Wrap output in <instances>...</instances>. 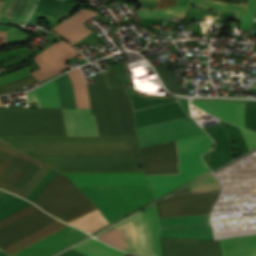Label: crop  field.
<instances>
[{
	"label": "crop field",
	"mask_w": 256,
	"mask_h": 256,
	"mask_svg": "<svg viewBox=\"0 0 256 256\" xmlns=\"http://www.w3.org/2000/svg\"><path fill=\"white\" fill-rule=\"evenodd\" d=\"M29 155L137 154V136L0 137Z\"/></svg>",
	"instance_id": "1"
},
{
	"label": "crop field",
	"mask_w": 256,
	"mask_h": 256,
	"mask_svg": "<svg viewBox=\"0 0 256 256\" xmlns=\"http://www.w3.org/2000/svg\"><path fill=\"white\" fill-rule=\"evenodd\" d=\"M213 143L208 135L176 141L179 174L146 175L154 199L208 173L210 170L201 154L212 148Z\"/></svg>",
	"instance_id": "2"
},
{
	"label": "crop field",
	"mask_w": 256,
	"mask_h": 256,
	"mask_svg": "<svg viewBox=\"0 0 256 256\" xmlns=\"http://www.w3.org/2000/svg\"><path fill=\"white\" fill-rule=\"evenodd\" d=\"M66 135L61 109L0 108V136Z\"/></svg>",
	"instance_id": "3"
},
{
	"label": "crop field",
	"mask_w": 256,
	"mask_h": 256,
	"mask_svg": "<svg viewBox=\"0 0 256 256\" xmlns=\"http://www.w3.org/2000/svg\"><path fill=\"white\" fill-rule=\"evenodd\" d=\"M100 209L109 223L152 201L148 185L77 186Z\"/></svg>",
	"instance_id": "4"
},
{
	"label": "crop field",
	"mask_w": 256,
	"mask_h": 256,
	"mask_svg": "<svg viewBox=\"0 0 256 256\" xmlns=\"http://www.w3.org/2000/svg\"><path fill=\"white\" fill-rule=\"evenodd\" d=\"M33 203L65 222L97 209L80 189L59 172Z\"/></svg>",
	"instance_id": "5"
},
{
	"label": "crop field",
	"mask_w": 256,
	"mask_h": 256,
	"mask_svg": "<svg viewBox=\"0 0 256 256\" xmlns=\"http://www.w3.org/2000/svg\"><path fill=\"white\" fill-rule=\"evenodd\" d=\"M20 153L0 141V176ZM49 169L50 167L21 153L0 177V188L25 198Z\"/></svg>",
	"instance_id": "6"
},
{
	"label": "crop field",
	"mask_w": 256,
	"mask_h": 256,
	"mask_svg": "<svg viewBox=\"0 0 256 256\" xmlns=\"http://www.w3.org/2000/svg\"><path fill=\"white\" fill-rule=\"evenodd\" d=\"M62 173L142 172L138 155L32 156Z\"/></svg>",
	"instance_id": "7"
},
{
	"label": "crop field",
	"mask_w": 256,
	"mask_h": 256,
	"mask_svg": "<svg viewBox=\"0 0 256 256\" xmlns=\"http://www.w3.org/2000/svg\"><path fill=\"white\" fill-rule=\"evenodd\" d=\"M113 227L124 233L127 252L141 256H161L155 204Z\"/></svg>",
	"instance_id": "8"
},
{
	"label": "crop field",
	"mask_w": 256,
	"mask_h": 256,
	"mask_svg": "<svg viewBox=\"0 0 256 256\" xmlns=\"http://www.w3.org/2000/svg\"><path fill=\"white\" fill-rule=\"evenodd\" d=\"M67 226L69 225L57 220L3 251L12 255ZM87 236L89 235L69 226L12 256H50Z\"/></svg>",
	"instance_id": "9"
},
{
	"label": "crop field",
	"mask_w": 256,
	"mask_h": 256,
	"mask_svg": "<svg viewBox=\"0 0 256 256\" xmlns=\"http://www.w3.org/2000/svg\"><path fill=\"white\" fill-rule=\"evenodd\" d=\"M89 84V95L99 135H122L113 88L104 77Z\"/></svg>",
	"instance_id": "10"
},
{
	"label": "crop field",
	"mask_w": 256,
	"mask_h": 256,
	"mask_svg": "<svg viewBox=\"0 0 256 256\" xmlns=\"http://www.w3.org/2000/svg\"><path fill=\"white\" fill-rule=\"evenodd\" d=\"M55 220L32 204L23 208L0 221V249H5Z\"/></svg>",
	"instance_id": "11"
},
{
	"label": "crop field",
	"mask_w": 256,
	"mask_h": 256,
	"mask_svg": "<svg viewBox=\"0 0 256 256\" xmlns=\"http://www.w3.org/2000/svg\"><path fill=\"white\" fill-rule=\"evenodd\" d=\"M140 147L206 134L188 117L137 129Z\"/></svg>",
	"instance_id": "12"
},
{
	"label": "crop field",
	"mask_w": 256,
	"mask_h": 256,
	"mask_svg": "<svg viewBox=\"0 0 256 256\" xmlns=\"http://www.w3.org/2000/svg\"><path fill=\"white\" fill-rule=\"evenodd\" d=\"M160 237L214 240L208 215L159 217Z\"/></svg>",
	"instance_id": "13"
},
{
	"label": "crop field",
	"mask_w": 256,
	"mask_h": 256,
	"mask_svg": "<svg viewBox=\"0 0 256 256\" xmlns=\"http://www.w3.org/2000/svg\"><path fill=\"white\" fill-rule=\"evenodd\" d=\"M219 194H189L156 203L159 216L209 214Z\"/></svg>",
	"instance_id": "14"
},
{
	"label": "crop field",
	"mask_w": 256,
	"mask_h": 256,
	"mask_svg": "<svg viewBox=\"0 0 256 256\" xmlns=\"http://www.w3.org/2000/svg\"><path fill=\"white\" fill-rule=\"evenodd\" d=\"M144 174L178 173L175 141L140 148Z\"/></svg>",
	"instance_id": "15"
},
{
	"label": "crop field",
	"mask_w": 256,
	"mask_h": 256,
	"mask_svg": "<svg viewBox=\"0 0 256 256\" xmlns=\"http://www.w3.org/2000/svg\"><path fill=\"white\" fill-rule=\"evenodd\" d=\"M75 54L77 51L69 44L63 41L57 42L34 57L41 69L31 74L39 81L59 74L69 68L65 65V61Z\"/></svg>",
	"instance_id": "16"
},
{
	"label": "crop field",
	"mask_w": 256,
	"mask_h": 256,
	"mask_svg": "<svg viewBox=\"0 0 256 256\" xmlns=\"http://www.w3.org/2000/svg\"><path fill=\"white\" fill-rule=\"evenodd\" d=\"M165 256H221L218 242L162 238Z\"/></svg>",
	"instance_id": "17"
},
{
	"label": "crop field",
	"mask_w": 256,
	"mask_h": 256,
	"mask_svg": "<svg viewBox=\"0 0 256 256\" xmlns=\"http://www.w3.org/2000/svg\"><path fill=\"white\" fill-rule=\"evenodd\" d=\"M76 185L147 184L143 173L64 174Z\"/></svg>",
	"instance_id": "18"
},
{
	"label": "crop field",
	"mask_w": 256,
	"mask_h": 256,
	"mask_svg": "<svg viewBox=\"0 0 256 256\" xmlns=\"http://www.w3.org/2000/svg\"><path fill=\"white\" fill-rule=\"evenodd\" d=\"M216 142L214 150L202 156L212 170L233 159L229 140L225 134L223 124L203 128Z\"/></svg>",
	"instance_id": "19"
},
{
	"label": "crop field",
	"mask_w": 256,
	"mask_h": 256,
	"mask_svg": "<svg viewBox=\"0 0 256 256\" xmlns=\"http://www.w3.org/2000/svg\"><path fill=\"white\" fill-rule=\"evenodd\" d=\"M136 128L167 121L176 118L187 117L177 102L146 108L135 112Z\"/></svg>",
	"instance_id": "20"
},
{
	"label": "crop field",
	"mask_w": 256,
	"mask_h": 256,
	"mask_svg": "<svg viewBox=\"0 0 256 256\" xmlns=\"http://www.w3.org/2000/svg\"><path fill=\"white\" fill-rule=\"evenodd\" d=\"M67 135H98L90 110L62 109Z\"/></svg>",
	"instance_id": "21"
},
{
	"label": "crop field",
	"mask_w": 256,
	"mask_h": 256,
	"mask_svg": "<svg viewBox=\"0 0 256 256\" xmlns=\"http://www.w3.org/2000/svg\"><path fill=\"white\" fill-rule=\"evenodd\" d=\"M96 15L98 14L87 9L80 10L75 13L71 18L55 26L52 31L58 33L62 37L75 44L80 39L84 38L92 32L81 23L89 20Z\"/></svg>",
	"instance_id": "22"
},
{
	"label": "crop field",
	"mask_w": 256,
	"mask_h": 256,
	"mask_svg": "<svg viewBox=\"0 0 256 256\" xmlns=\"http://www.w3.org/2000/svg\"><path fill=\"white\" fill-rule=\"evenodd\" d=\"M37 0H7L0 15V22L24 24Z\"/></svg>",
	"instance_id": "23"
},
{
	"label": "crop field",
	"mask_w": 256,
	"mask_h": 256,
	"mask_svg": "<svg viewBox=\"0 0 256 256\" xmlns=\"http://www.w3.org/2000/svg\"><path fill=\"white\" fill-rule=\"evenodd\" d=\"M224 256H256V235L220 240Z\"/></svg>",
	"instance_id": "24"
},
{
	"label": "crop field",
	"mask_w": 256,
	"mask_h": 256,
	"mask_svg": "<svg viewBox=\"0 0 256 256\" xmlns=\"http://www.w3.org/2000/svg\"><path fill=\"white\" fill-rule=\"evenodd\" d=\"M227 1H233V2L247 4L249 0H227ZM191 4L200 6V7H205V8L232 10L236 14L237 21H240L242 14L245 10V9H240V8H234V7L222 6V5H216V4H209V3H201V2H196V1H191ZM255 14H256V0H250L247 8L243 14V17L240 21L238 29L251 30L253 22H254Z\"/></svg>",
	"instance_id": "25"
},
{
	"label": "crop field",
	"mask_w": 256,
	"mask_h": 256,
	"mask_svg": "<svg viewBox=\"0 0 256 256\" xmlns=\"http://www.w3.org/2000/svg\"><path fill=\"white\" fill-rule=\"evenodd\" d=\"M123 135H136L131 99L124 87L114 88Z\"/></svg>",
	"instance_id": "26"
},
{
	"label": "crop field",
	"mask_w": 256,
	"mask_h": 256,
	"mask_svg": "<svg viewBox=\"0 0 256 256\" xmlns=\"http://www.w3.org/2000/svg\"><path fill=\"white\" fill-rule=\"evenodd\" d=\"M196 107L233 123V101L189 99Z\"/></svg>",
	"instance_id": "27"
},
{
	"label": "crop field",
	"mask_w": 256,
	"mask_h": 256,
	"mask_svg": "<svg viewBox=\"0 0 256 256\" xmlns=\"http://www.w3.org/2000/svg\"><path fill=\"white\" fill-rule=\"evenodd\" d=\"M176 4V0H160L159 9L170 7ZM187 6H174L165 10H138L137 16L141 18H184L186 17Z\"/></svg>",
	"instance_id": "28"
},
{
	"label": "crop field",
	"mask_w": 256,
	"mask_h": 256,
	"mask_svg": "<svg viewBox=\"0 0 256 256\" xmlns=\"http://www.w3.org/2000/svg\"><path fill=\"white\" fill-rule=\"evenodd\" d=\"M33 71L28 67H24L20 70L10 72L8 74L0 76V85L8 84L20 78L30 75L29 72ZM36 79L33 76H28L13 83L0 87V94L8 93L10 91L23 88L24 86L35 82Z\"/></svg>",
	"instance_id": "29"
},
{
	"label": "crop field",
	"mask_w": 256,
	"mask_h": 256,
	"mask_svg": "<svg viewBox=\"0 0 256 256\" xmlns=\"http://www.w3.org/2000/svg\"><path fill=\"white\" fill-rule=\"evenodd\" d=\"M72 248L88 256H124L127 254L102 244L93 238H90Z\"/></svg>",
	"instance_id": "30"
},
{
	"label": "crop field",
	"mask_w": 256,
	"mask_h": 256,
	"mask_svg": "<svg viewBox=\"0 0 256 256\" xmlns=\"http://www.w3.org/2000/svg\"><path fill=\"white\" fill-rule=\"evenodd\" d=\"M75 8L76 6L60 0H40L35 11L61 19L72 12Z\"/></svg>",
	"instance_id": "31"
},
{
	"label": "crop field",
	"mask_w": 256,
	"mask_h": 256,
	"mask_svg": "<svg viewBox=\"0 0 256 256\" xmlns=\"http://www.w3.org/2000/svg\"><path fill=\"white\" fill-rule=\"evenodd\" d=\"M38 106L43 108H60L57 88L54 81L35 89Z\"/></svg>",
	"instance_id": "32"
},
{
	"label": "crop field",
	"mask_w": 256,
	"mask_h": 256,
	"mask_svg": "<svg viewBox=\"0 0 256 256\" xmlns=\"http://www.w3.org/2000/svg\"><path fill=\"white\" fill-rule=\"evenodd\" d=\"M67 73L73 82L77 108H90L86 83L79 68Z\"/></svg>",
	"instance_id": "33"
},
{
	"label": "crop field",
	"mask_w": 256,
	"mask_h": 256,
	"mask_svg": "<svg viewBox=\"0 0 256 256\" xmlns=\"http://www.w3.org/2000/svg\"><path fill=\"white\" fill-rule=\"evenodd\" d=\"M54 80L57 84L61 108H76L72 83L67 73Z\"/></svg>",
	"instance_id": "34"
},
{
	"label": "crop field",
	"mask_w": 256,
	"mask_h": 256,
	"mask_svg": "<svg viewBox=\"0 0 256 256\" xmlns=\"http://www.w3.org/2000/svg\"><path fill=\"white\" fill-rule=\"evenodd\" d=\"M163 69L158 70V75L168 90L172 93H180L179 83L175 70L168 71L167 65H162Z\"/></svg>",
	"instance_id": "35"
},
{
	"label": "crop field",
	"mask_w": 256,
	"mask_h": 256,
	"mask_svg": "<svg viewBox=\"0 0 256 256\" xmlns=\"http://www.w3.org/2000/svg\"><path fill=\"white\" fill-rule=\"evenodd\" d=\"M131 98H132V102L135 110L177 100V99L147 98V97L139 96L137 94L131 96Z\"/></svg>",
	"instance_id": "36"
},
{
	"label": "crop field",
	"mask_w": 256,
	"mask_h": 256,
	"mask_svg": "<svg viewBox=\"0 0 256 256\" xmlns=\"http://www.w3.org/2000/svg\"><path fill=\"white\" fill-rule=\"evenodd\" d=\"M97 238L116 248L125 250L123 233L116 229H112Z\"/></svg>",
	"instance_id": "37"
},
{
	"label": "crop field",
	"mask_w": 256,
	"mask_h": 256,
	"mask_svg": "<svg viewBox=\"0 0 256 256\" xmlns=\"http://www.w3.org/2000/svg\"><path fill=\"white\" fill-rule=\"evenodd\" d=\"M189 188L191 192L206 191V190L218 189L220 188V184L212 173L207 177H205L204 179L189 186Z\"/></svg>",
	"instance_id": "38"
},
{
	"label": "crop field",
	"mask_w": 256,
	"mask_h": 256,
	"mask_svg": "<svg viewBox=\"0 0 256 256\" xmlns=\"http://www.w3.org/2000/svg\"><path fill=\"white\" fill-rule=\"evenodd\" d=\"M222 122L225 125V129H226V132L228 134L229 140L230 141L236 140L241 154L248 151V149L246 147V144H245V141H244L239 129L235 126H232V125L224 122V121H222Z\"/></svg>",
	"instance_id": "39"
},
{
	"label": "crop field",
	"mask_w": 256,
	"mask_h": 256,
	"mask_svg": "<svg viewBox=\"0 0 256 256\" xmlns=\"http://www.w3.org/2000/svg\"><path fill=\"white\" fill-rule=\"evenodd\" d=\"M245 128L256 132V104L246 102Z\"/></svg>",
	"instance_id": "40"
},
{
	"label": "crop field",
	"mask_w": 256,
	"mask_h": 256,
	"mask_svg": "<svg viewBox=\"0 0 256 256\" xmlns=\"http://www.w3.org/2000/svg\"><path fill=\"white\" fill-rule=\"evenodd\" d=\"M31 203L22 200V199H17L9 204H7L6 206L0 208V220L9 216L10 214L20 210L21 208L29 205Z\"/></svg>",
	"instance_id": "41"
},
{
	"label": "crop field",
	"mask_w": 256,
	"mask_h": 256,
	"mask_svg": "<svg viewBox=\"0 0 256 256\" xmlns=\"http://www.w3.org/2000/svg\"><path fill=\"white\" fill-rule=\"evenodd\" d=\"M57 171L50 169V171L45 175V177L39 182V184L30 192L26 199L34 201L38 194L43 190V188L49 183V181L55 176Z\"/></svg>",
	"instance_id": "42"
},
{
	"label": "crop field",
	"mask_w": 256,
	"mask_h": 256,
	"mask_svg": "<svg viewBox=\"0 0 256 256\" xmlns=\"http://www.w3.org/2000/svg\"><path fill=\"white\" fill-rule=\"evenodd\" d=\"M27 37V35L17 30L16 28H9L5 44L23 43L26 41Z\"/></svg>",
	"instance_id": "43"
},
{
	"label": "crop field",
	"mask_w": 256,
	"mask_h": 256,
	"mask_svg": "<svg viewBox=\"0 0 256 256\" xmlns=\"http://www.w3.org/2000/svg\"><path fill=\"white\" fill-rule=\"evenodd\" d=\"M245 103L234 102V124L244 128Z\"/></svg>",
	"instance_id": "44"
},
{
	"label": "crop field",
	"mask_w": 256,
	"mask_h": 256,
	"mask_svg": "<svg viewBox=\"0 0 256 256\" xmlns=\"http://www.w3.org/2000/svg\"><path fill=\"white\" fill-rule=\"evenodd\" d=\"M248 146V149L256 147V133L249 132L245 129L239 128Z\"/></svg>",
	"instance_id": "45"
},
{
	"label": "crop field",
	"mask_w": 256,
	"mask_h": 256,
	"mask_svg": "<svg viewBox=\"0 0 256 256\" xmlns=\"http://www.w3.org/2000/svg\"><path fill=\"white\" fill-rule=\"evenodd\" d=\"M105 76L110 86L112 87L122 86L121 79L117 70L112 73L105 74Z\"/></svg>",
	"instance_id": "46"
},
{
	"label": "crop field",
	"mask_w": 256,
	"mask_h": 256,
	"mask_svg": "<svg viewBox=\"0 0 256 256\" xmlns=\"http://www.w3.org/2000/svg\"><path fill=\"white\" fill-rule=\"evenodd\" d=\"M16 198H18V197L14 196V195H12V194H9V193H7V194L1 196V197H0V207L3 206V205H5L6 203H8V202H10V201H12V200H14V199H16Z\"/></svg>",
	"instance_id": "47"
},
{
	"label": "crop field",
	"mask_w": 256,
	"mask_h": 256,
	"mask_svg": "<svg viewBox=\"0 0 256 256\" xmlns=\"http://www.w3.org/2000/svg\"><path fill=\"white\" fill-rule=\"evenodd\" d=\"M197 1L216 3V4H222V5H229V6H236V7H242V8L246 7L245 4H231V3H225V2L216 1V0H197Z\"/></svg>",
	"instance_id": "48"
},
{
	"label": "crop field",
	"mask_w": 256,
	"mask_h": 256,
	"mask_svg": "<svg viewBox=\"0 0 256 256\" xmlns=\"http://www.w3.org/2000/svg\"><path fill=\"white\" fill-rule=\"evenodd\" d=\"M58 256H85V255H83V254H81V253H79V252H77V251H75L73 249H69V250L61 253Z\"/></svg>",
	"instance_id": "49"
},
{
	"label": "crop field",
	"mask_w": 256,
	"mask_h": 256,
	"mask_svg": "<svg viewBox=\"0 0 256 256\" xmlns=\"http://www.w3.org/2000/svg\"><path fill=\"white\" fill-rule=\"evenodd\" d=\"M26 96L28 98V101H36L34 91L26 93Z\"/></svg>",
	"instance_id": "50"
},
{
	"label": "crop field",
	"mask_w": 256,
	"mask_h": 256,
	"mask_svg": "<svg viewBox=\"0 0 256 256\" xmlns=\"http://www.w3.org/2000/svg\"><path fill=\"white\" fill-rule=\"evenodd\" d=\"M6 33L7 32H0V42H4L5 41Z\"/></svg>",
	"instance_id": "51"
},
{
	"label": "crop field",
	"mask_w": 256,
	"mask_h": 256,
	"mask_svg": "<svg viewBox=\"0 0 256 256\" xmlns=\"http://www.w3.org/2000/svg\"><path fill=\"white\" fill-rule=\"evenodd\" d=\"M189 0H178L177 5H188Z\"/></svg>",
	"instance_id": "52"
},
{
	"label": "crop field",
	"mask_w": 256,
	"mask_h": 256,
	"mask_svg": "<svg viewBox=\"0 0 256 256\" xmlns=\"http://www.w3.org/2000/svg\"><path fill=\"white\" fill-rule=\"evenodd\" d=\"M5 3L0 2V13Z\"/></svg>",
	"instance_id": "53"
},
{
	"label": "crop field",
	"mask_w": 256,
	"mask_h": 256,
	"mask_svg": "<svg viewBox=\"0 0 256 256\" xmlns=\"http://www.w3.org/2000/svg\"><path fill=\"white\" fill-rule=\"evenodd\" d=\"M0 256H8V255L0 251Z\"/></svg>",
	"instance_id": "54"
},
{
	"label": "crop field",
	"mask_w": 256,
	"mask_h": 256,
	"mask_svg": "<svg viewBox=\"0 0 256 256\" xmlns=\"http://www.w3.org/2000/svg\"><path fill=\"white\" fill-rule=\"evenodd\" d=\"M5 193H6V192H3V191L0 190V196L3 195V194H5Z\"/></svg>",
	"instance_id": "55"
},
{
	"label": "crop field",
	"mask_w": 256,
	"mask_h": 256,
	"mask_svg": "<svg viewBox=\"0 0 256 256\" xmlns=\"http://www.w3.org/2000/svg\"><path fill=\"white\" fill-rule=\"evenodd\" d=\"M0 107H4L3 104H2V102H1V100H0Z\"/></svg>",
	"instance_id": "56"
},
{
	"label": "crop field",
	"mask_w": 256,
	"mask_h": 256,
	"mask_svg": "<svg viewBox=\"0 0 256 256\" xmlns=\"http://www.w3.org/2000/svg\"><path fill=\"white\" fill-rule=\"evenodd\" d=\"M126 256H135V255H130V254H128V255H126Z\"/></svg>",
	"instance_id": "57"
},
{
	"label": "crop field",
	"mask_w": 256,
	"mask_h": 256,
	"mask_svg": "<svg viewBox=\"0 0 256 256\" xmlns=\"http://www.w3.org/2000/svg\"><path fill=\"white\" fill-rule=\"evenodd\" d=\"M0 1H3V2H5L6 0H0Z\"/></svg>",
	"instance_id": "58"
}]
</instances>
